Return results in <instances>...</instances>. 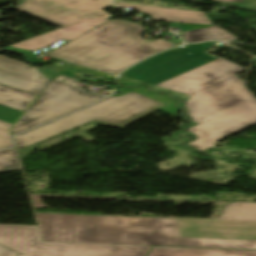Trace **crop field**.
<instances>
[{"label":"crop field","instance_id":"22f410ed","mask_svg":"<svg viewBox=\"0 0 256 256\" xmlns=\"http://www.w3.org/2000/svg\"><path fill=\"white\" fill-rule=\"evenodd\" d=\"M183 35L186 42H195L209 39L225 41L238 40L236 36L216 26L182 24Z\"/></svg>","mask_w":256,"mask_h":256},{"label":"crop field","instance_id":"ac0d7876","mask_svg":"<svg viewBox=\"0 0 256 256\" xmlns=\"http://www.w3.org/2000/svg\"><path fill=\"white\" fill-rule=\"evenodd\" d=\"M43 241L256 249V204L227 205L218 220L35 213Z\"/></svg>","mask_w":256,"mask_h":256},{"label":"crop field","instance_id":"f4fd0767","mask_svg":"<svg viewBox=\"0 0 256 256\" xmlns=\"http://www.w3.org/2000/svg\"><path fill=\"white\" fill-rule=\"evenodd\" d=\"M0 243L26 256H146L152 247L42 242L37 226L0 224Z\"/></svg>","mask_w":256,"mask_h":256},{"label":"crop field","instance_id":"3316defc","mask_svg":"<svg viewBox=\"0 0 256 256\" xmlns=\"http://www.w3.org/2000/svg\"><path fill=\"white\" fill-rule=\"evenodd\" d=\"M106 21L108 20L88 19L3 49L21 52L25 57L35 60L36 58L34 57L36 55L32 54L34 51L49 46L61 39L71 40Z\"/></svg>","mask_w":256,"mask_h":256},{"label":"crop field","instance_id":"8a807250","mask_svg":"<svg viewBox=\"0 0 256 256\" xmlns=\"http://www.w3.org/2000/svg\"><path fill=\"white\" fill-rule=\"evenodd\" d=\"M213 43L187 45L157 54L122 73L192 96L184 106L199 125L188 129L197 136L188 145L202 151L256 124V99L233 75L244 68L205 53Z\"/></svg>","mask_w":256,"mask_h":256},{"label":"crop field","instance_id":"4a817a6b","mask_svg":"<svg viewBox=\"0 0 256 256\" xmlns=\"http://www.w3.org/2000/svg\"><path fill=\"white\" fill-rule=\"evenodd\" d=\"M18 252L0 244V256H18Z\"/></svg>","mask_w":256,"mask_h":256},{"label":"crop field","instance_id":"d9b57169","mask_svg":"<svg viewBox=\"0 0 256 256\" xmlns=\"http://www.w3.org/2000/svg\"><path fill=\"white\" fill-rule=\"evenodd\" d=\"M232 7L246 10H256V0H216Z\"/></svg>","mask_w":256,"mask_h":256},{"label":"crop field","instance_id":"412701ff","mask_svg":"<svg viewBox=\"0 0 256 256\" xmlns=\"http://www.w3.org/2000/svg\"><path fill=\"white\" fill-rule=\"evenodd\" d=\"M164 105L133 92L108 98L80 112L14 137L19 160L29 155L39 143L79 126L94 123L122 128Z\"/></svg>","mask_w":256,"mask_h":256},{"label":"crop field","instance_id":"733c2abd","mask_svg":"<svg viewBox=\"0 0 256 256\" xmlns=\"http://www.w3.org/2000/svg\"><path fill=\"white\" fill-rule=\"evenodd\" d=\"M155 52H158L160 50L166 49L168 47L173 46L172 43L158 39L154 40L152 42L147 43Z\"/></svg>","mask_w":256,"mask_h":256},{"label":"crop field","instance_id":"5a996713","mask_svg":"<svg viewBox=\"0 0 256 256\" xmlns=\"http://www.w3.org/2000/svg\"><path fill=\"white\" fill-rule=\"evenodd\" d=\"M37 96L0 85V148L10 147V129L17 123Z\"/></svg>","mask_w":256,"mask_h":256},{"label":"crop field","instance_id":"e52e79f7","mask_svg":"<svg viewBox=\"0 0 256 256\" xmlns=\"http://www.w3.org/2000/svg\"><path fill=\"white\" fill-rule=\"evenodd\" d=\"M109 6L110 0H24L16 9L64 27L87 18L111 19L102 11Z\"/></svg>","mask_w":256,"mask_h":256},{"label":"crop field","instance_id":"34b2d1b8","mask_svg":"<svg viewBox=\"0 0 256 256\" xmlns=\"http://www.w3.org/2000/svg\"><path fill=\"white\" fill-rule=\"evenodd\" d=\"M137 24L110 20L47 55L117 74L155 52L138 36Z\"/></svg>","mask_w":256,"mask_h":256},{"label":"crop field","instance_id":"d8731c3e","mask_svg":"<svg viewBox=\"0 0 256 256\" xmlns=\"http://www.w3.org/2000/svg\"><path fill=\"white\" fill-rule=\"evenodd\" d=\"M27 64L0 57V84L39 95L55 75Z\"/></svg>","mask_w":256,"mask_h":256},{"label":"crop field","instance_id":"d1516ede","mask_svg":"<svg viewBox=\"0 0 256 256\" xmlns=\"http://www.w3.org/2000/svg\"><path fill=\"white\" fill-rule=\"evenodd\" d=\"M148 256H256V251L153 247Z\"/></svg>","mask_w":256,"mask_h":256},{"label":"crop field","instance_id":"bc2a9ffb","mask_svg":"<svg viewBox=\"0 0 256 256\" xmlns=\"http://www.w3.org/2000/svg\"><path fill=\"white\" fill-rule=\"evenodd\" d=\"M19 256H24V255H22V254H19Z\"/></svg>","mask_w":256,"mask_h":256},{"label":"crop field","instance_id":"28ad6ade","mask_svg":"<svg viewBox=\"0 0 256 256\" xmlns=\"http://www.w3.org/2000/svg\"><path fill=\"white\" fill-rule=\"evenodd\" d=\"M117 7L132 8L140 10L144 13L151 14V18L180 21L187 23H207L212 24L210 20L202 12L167 9L150 6L130 5L115 3ZM144 9V10H141Z\"/></svg>","mask_w":256,"mask_h":256},{"label":"crop field","instance_id":"cbeb9de0","mask_svg":"<svg viewBox=\"0 0 256 256\" xmlns=\"http://www.w3.org/2000/svg\"><path fill=\"white\" fill-rule=\"evenodd\" d=\"M129 91H133V92H136V93L141 94L143 96H146V97H149L151 99H154L156 101L165 103L167 105L162 107V108H160L159 110L168 112V113L173 114L175 116L177 115V110H179V109L176 108V107H173V105L175 104V101L170 99L169 97L149 92V91H147L146 88H143V87H140L138 89L125 90L124 94L129 92Z\"/></svg>","mask_w":256,"mask_h":256},{"label":"crop field","instance_id":"5142ce71","mask_svg":"<svg viewBox=\"0 0 256 256\" xmlns=\"http://www.w3.org/2000/svg\"><path fill=\"white\" fill-rule=\"evenodd\" d=\"M22 169L16 149L0 151V172Z\"/></svg>","mask_w":256,"mask_h":256},{"label":"crop field","instance_id":"dd49c442","mask_svg":"<svg viewBox=\"0 0 256 256\" xmlns=\"http://www.w3.org/2000/svg\"><path fill=\"white\" fill-rule=\"evenodd\" d=\"M104 97L84 89L53 80L11 130L19 133L45 123Z\"/></svg>","mask_w":256,"mask_h":256}]
</instances>
